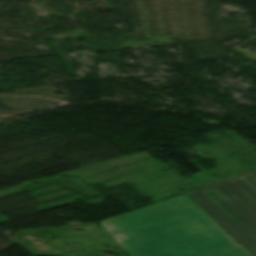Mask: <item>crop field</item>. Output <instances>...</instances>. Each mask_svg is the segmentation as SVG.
I'll return each mask as SVG.
<instances>
[{
  "mask_svg": "<svg viewBox=\"0 0 256 256\" xmlns=\"http://www.w3.org/2000/svg\"><path fill=\"white\" fill-rule=\"evenodd\" d=\"M187 194L256 256V169Z\"/></svg>",
  "mask_w": 256,
  "mask_h": 256,
  "instance_id": "ac0d7876",
  "label": "crop field"
},
{
  "mask_svg": "<svg viewBox=\"0 0 256 256\" xmlns=\"http://www.w3.org/2000/svg\"><path fill=\"white\" fill-rule=\"evenodd\" d=\"M100 224L129 256H249L186 195Z\"/></svg>",
  "mask_w": 256,
  "mask_h": 256,
  "instance_id": "8a807250",
  "label": "crop field"
}]
</instances>
